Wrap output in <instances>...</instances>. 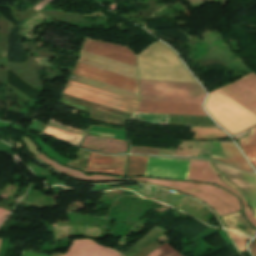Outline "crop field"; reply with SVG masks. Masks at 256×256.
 I'll return each instance as SVG.
<instances>
[{"instance_id": "obj_2", "label": "crop field", "mask_w": 256, "mask_h": 256, "mask_svg": "<svg viewBox=\"0 0 256 256\" xmlns=\"http://www.w3.org/2000/svg\"><path fill=\"white\" fill-rule=\"evenodd\" d=\"M141 101L201 104L199 84L139 80Z\"/></svg>"}, {"instance_id": "obj_8", "label": "crop field", "mask_w": 256, "mask_h": 256, "mask_svg": "<svg viewBox=\"0 0 256 256\" xmlns=\"http://www.w3.org/2000/svg\"><path fill=\"white\" fill-rule=\"evenodd\" d=\"M82 50L135 66L134 55L122 46L87 38Z\"/></svg>"}, {"instance_id": "obj_23", "label": "crop field", "mask_w": 256, "mask_h": 256, "mask_svg": "<svg viewBox=\"0 0 256 256\" xmlns=\"http://www.w3.org/2000/svg\"><path fill=\"white\" fill-rule=\"evenodd\" d=\"M21 256H48V255H42V254H36V253H30V252H21Z\"/></svg>"}, {"instance_id": "obj_9", "label": "crop field", "mask_w": 256, "mask_h": 256, "mask_svg": "<svg viewBox=\"0 0 256 256\" xmlns=\"http://www.w3.org/2000/svg\"><path fill=\"white\" fill-rule=\"evenodd\" d=\"M136 112L207 116L201 105L140 102Z\"/></svg>"}, {"instance_id": "obj_25", "label": "crop field", "mask_w": 256, "mask_h": 256, "mask_svg": "<svg viewBox=\"0 0 256 256\" xmlns=\"http://www.w3.org/2000/svg\"><path fill=\"white\" fill-rule=\"evenodd\" d=\"M1 240V239H0Z\"/></svg>"}, {"instance_id": "obj_17", "label": "crop field", "mask_w": 256, "mask_h": 256, "mask_svg": "<svg viewBox=\"0 0 256 256\" xmlns=\"http://www.w3.org/2000/svg\"><path fill=\"white\" fill-rule=\"evenodd\" d=\"M147 157L130 156L126 176L144 175Z\"/></svg>"}, {"instance_id": "obj_16", "label": "crop field", "mask_w": 256, "mask_h": 256, "mask_svg": "<svg viewBox=\"0 0 256 256\" xmlns=\"http://www.w3.org/2000/svg\"><path fill=\"white\" fill-rule=\"evenodd\" d=\"M81 83L139 101L137 93H133V92H130V91H127V90H123V89L113 87V86H110V85H107V84H103V83H100V82H97V81H93V80H90V79H87V78H83Z\"/></svg>"}, {"instance_id": "obj_12", "label": "crop field", "mask_w": 256, "mask_h": 256, "mask_svg": "<svg viewBox=\"0 0 256 256\" xmlns=\"http://www.w3.org/2000/svg\"><path fill=\"white\" fill-rule=\"evenodd\" d=\"M94 132V131H93ZM89 132L90 135L102 136L105 134ZM87 135L86 139L80 145L88 149H92L102 153H119L126 152L127 143L116 139H105ZM113 140L112 142H109Z\"/></svg>"}, {"instance_id": "obj_7", "label": "crop field", "mask_w": 256, "mask_h": 256, "mask_svg": "<svg viewBox=\"0 0 256 256\" xmlns=\"http://www.w3.org/2000/svg\"><path fill=\"white\" fill-rule=\"evenodd\" d=\"M73 74L92 78L138 93L137 81L77 63Z\"/></svg>"}, {"instance_id": "obj_19", "label": "crop field", "mask_w": 256, "mask_h": 256, "mask_svg": "<svg viewBox=\"0 0 256 256\" xmlns=\"http://www.w3.org/2000/svg\"><path fill=\"white\" fill-rule=\"evenodd\" d=\"M148 256H181V255L176 251H174L171 247H169L165 243L161 247L156 249L154 252L149 254Z\"/></svg>"}, {"instance_id": "obj_6", "label": "crop field", "mask_w": 256, "mask_h": 256, "mask_svg": "<svg viewBox=\"0 0 256 256\" xmlns=\"http://www.w3.org/2000/svg\"><path fill=\"white\" fill-rule=\"evenodd\" d=\"M189 162L149 158L145 175L170 179H186Z\"/></svg>"}, {"instance_id": "obj_4", "label": "crop field", "mask_w": 256, "mask_h": 256, "mask_svg": "<svg viewBox=\"0 0 256 256\" xmlns=\"http://www.w3.org/2000/svg\"><path fill=\"white\" fill-rule=\"evenodd\" d=\"M221 89L236 102L256 114V75L254 73H249Z\"/></svg>"}, {"instance_id": "obj_11", "label": "crop field", "mask_w": 256, "mask_h": 256, "mask_svg": "<svg viewBox=\"0 0 256 256\" xmlns=\"http://www.w3.org/2000/svg\"><path fill=\"white\" fill-rule=\"evenodd\" d=\"M99 246L89 239L73 240L64 256H97ZM98 256H121V254L101 245Z\"/></svg>"}, {"instance_id": "obj_20", "label": "crop field", "mask_w": 256, "mask_h": 256, "mask_svg": "<svg viewBox=\"0 0 256 256\" xmlns=\"http://www.w3.org/2000/svg\"><path fill=\"white\" fill-rule=\"evenodd\" d=\"M227 232L232 237V239L236 242V245H237L238 249L246 252L245 244L248 242L249 238H247L243 235H240V234H238L234 231H231V230H227Z\"/></svg>"}, {"instance_id": "obj_10", "label": "crop field", "mask_w": 256, "mask_h": 256, "mask_svg": "<svg viewBox=\"0 0 256 256\" xmlns=\"http://www.w3.org/2000/svg\"><path fill=\"white\" fill-rule=\"evenodd\" d=\"M127 156L91 154L87 172L108 173L123 176Z\"/></svg>"}, {"instance_id": "obj_14", "label": "crop field", "mask_w": 256, "mask_h": 256, "mask_svg": "<svg viewBox=\"0 0 256 256\" xmlns=\"http://www.w3.org/2000/svg\"><path fill=\"white\" fill-rule=\"evenodd\" d=\"M38 159L50 164L53 168L56 170L71 175L77 179L81 180H87V181H106V180H124L123 178H117V177H111V176H101V175H92V176H86L84 173L79 172L77 170L69 169L66 167H63L61 165L56 164L54 161L46 158L42 153L35 156Z\"/></svg>"}, {"instance_id": "obj_24", "label": "crop field", "mask_w": 256, "mask_h": 256, "mask_svg": "<svg viewBox=\"0 0 256 256\" xmlns=\"http://www.w3.org/2000/svg\"><path fill=\"white\" fill-rule=\"evenodd\" d=\"M64 254L53 252L52 256H63Z\"/></svg>"}, {"instance_id": "obj_18", "label": "crop field", "mask_w": 256, "mask_h": 256, "mask_svg": "<svg viewBox=\"0 0 256 256\" xmlns=\"http://www.w3.org/2000/svg\"><path fill=\"white\" fill-rule=\"evenodd\" d=\"M191 132L196 133L194 139H213L227 136L217 129L193 128Z\"/></svg>"}, {"instance_id": "obj_5", "label": "crop field", "mask_w": 256, "mask_h": 256, "mask_svg": "<svg viewBox=\"0 0 256 256\" xmlns=\"http://www.w3.org/2000/svg\"><path fill=\"white\" fill-rule=\"evenodd\" d=\"M187 179L216 183L218 185H221V186L229 189L230 191L234 192L235 194H237L243 203L244 212H245L248 220L251 222V224L254 227H256V220L253 218V215H252L249 205L240 196V194L237 192V190L225 185L220 180L219 176L214 171V169L211 167L209 162L191 160Z\"/></svg>"}, {"instance_id": "obj_22", "label": "crop field", "mask_w": 256, "mask_h": 256, "mask_svg": "<svg viewBox=\"0 0 256 256\" xmlns=\"http://www.w3.org/2000/svg\"><path fill=\"white\" fill-rule=\"evenodd\" d=\"M250 250L253 256H256V239H254L250 245Z\"/></svg>"}, {"instance_id": "obj_3", "label": "crop field", "mask_w": 256, "mask_h": 256, "mask_svg": "<svg viewBox=\"0 0 256 256\" xmlns=\"http://www.w3.org/2000/svg\"><path fill=\"white\" fill-rule=\"evenodd\" d=\"M63 93L129 113H133L138 104V101L85 86L70 80L68 81Z\"/></svg>"}, {"instance_id": "obj_15", "label": "crop field", "mask_w": 256, "mask_h": 256, "mask_svg": "<svg viewBox=\"0 0 256 256\" xmlns=\"http://www.w3.org/2000/svg\"><path fill=\"white\" fill-rule=\"evenodd\" d=\"M238 142L253 166L256 168V126L251 128L250 135L238 140Z\"/></svg>"}, {"instance_id": "obj_13", "label": "crop field", "mask_w": 256, "mask_h": 256, "mask_svg": "<svg viewBox=\"0 0 256 256\" xmlns=\"http://www.w3.org/2000/svg\"><path fill=\"white\" fill-rule=\"evenodd\" d=\"M220 145L222 147V150L224 152L226 159L215 157V156H211V158L220 160L228 165H231L243 171L253 172V170L247 164V162L242 157V155L237 150V148L234 146V144L220 143Z\"/></svg>"}, {"instance_id": "obj_1", "label": "crop field", "mask_w": 256, "mask_h": 256, "mask_svg": "<svg viewBox=\"0 0 256 256\" xmlns=\"http://www.w3.org/2000/svg\"><path fill=\"white\" fill-rule=\"evenodd\" d=\"M126 180L150 182L197 197L211 206L219 216L239 211L241 209L240 202L237 197L215 186L194 182L157 180L147 178H133Z\"/></svg>"}, {"instance_id": "obj_21", "label": "crop field", "mask_w": 256, "mask_h": 256, "mask_svg": "<svg viewBox=\"0 0 256 256\" xmlns=\"http://www.w3.org/2000/svg\"><path fill=\"white\" fill-rule=\"evenodd\" d=\"M131 153L158 155L159 149L132 147Z\"/></svg>"}]
</instances>
